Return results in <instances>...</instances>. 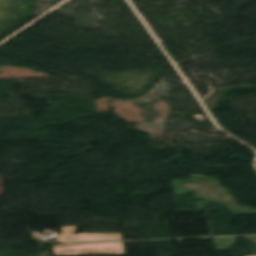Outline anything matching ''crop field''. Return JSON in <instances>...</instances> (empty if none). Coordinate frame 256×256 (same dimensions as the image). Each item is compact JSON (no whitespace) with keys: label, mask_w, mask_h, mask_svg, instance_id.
<instances>
[{"label":"crop field","mask_w":256,"mask_h":256,"mask_svg":"<svg viewBox=\"0 0 256 256\" xmlns=\"http://www.w3.org/2000/svg\"><path fill=\"white\" fill-rule=\"evenodd\" d=\"M55 255L125 254L122 242L64 244L54 247Z\"/></svg>","instance_id":"8a807250"}]
</instances>
